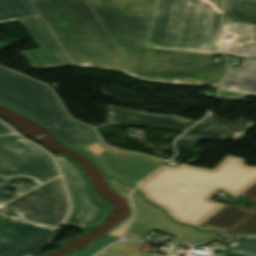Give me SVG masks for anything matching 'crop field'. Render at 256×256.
<instances>
[{
  "mask_svg": "<svg viewBox=\"0 0 256 256\" xmlns=\"http://www.w3.org/2000/svg\"><path fill=\"white\" fill-rule=\"evenodd\" d=\"M223 0H155L145 47L223 55Z\"/></svg>",
  "mask_w": 256,
  "mask_h": 256,
  "instance_id": "ac0d7876",
  "label": "crop field"
},
{
  "mask_svg": "<svg viewBox=\"0 0 256 256\" xmlns=\"http://www.w3.org/2000/svg\"><path fill=\"white\" fill-rule=\"evenodd\" d=\"M55 158L64 175L73 205V210L64 224L84 230L105 214L107 204L93 194L70 161L60 156Z\"/></svg>",
  "mask_w": 256,
  "mask_h": 256,
  "instance_id": "3316defc",
  "label": "crop field"
},
{
  "mask_svg": "<svg viewBox=\"0 0 256 256\" xmlns=\"http://www.w3.org/2000/svg\"><path fill=\"white\" fill-rule=\"evenodd\" d=\"M39 49L22 52L33 69L71 66L40 18L21 21Z\"/></svg>",
  "mask_w": 256,
  "mask_h": 256,
  "instance_id": "d1516ede",
  "label": "crop field"
},
{
  "mask_svg": "<svg viewBox=\"0 0 256 256\" xmlns=\"http://www.w3.org/2000/svg\"><path fill=\"white\" fill-rule=\"evenodd\" d=\"M254 125L255 123L243 118L231 123L218 117L208 116L179 138L176 143L192 147L197 142L207 139L230 138L239 141Z\"/></svg>",
  "mask_w": 256,
  "mask_h": 256,
  "instance_id": "cbeb9de0",
  "label": "crop field"
},
{
  "mask_svg": "<svg viewBox=\"0 0 256 256\" xmlns=\"http://www.w3.org/2000/svg\"><path fill=\"white\" fill-rule=\"evenodd\" d=\"M249 168L244 159L228 155L213 171L183 164L164 165L137 189L180 222Z\"/></svg>",
  "mask_w": 256,
  "mask_h": 256,
  "instance_id": "34b2d1b8",
  "label": "crop field"
},
{
  "mask_svg": "<svg viewBox=\"0 0 256 256\" xmlns=\"http://www.w3.org/2000/svg\"><path fill=\"white\" fill-rule=\"evenodd\" d=\"M230 70L220 91L256 95V60L243 59L240 67L230 66Z\"/></svg>",
  "mask_w": 256,
  "mask_h": 256,
  "instance_id": "5142ce71",
  "label": "crop field"
},
{
  "mask_svg": "<svg viewBox=\"0 0 256 256\" xmlns=\"http://www.w3.org/2000/svg\"><path fill=\"white\" fill-rule=\"evenodd\" d=\"M224 204L209 200L195 212L185 218L181 223H185L192 226H198L202 221L208 218L210 215L218 211Z\"/></svg>",
  "mask_w": 256,
  "mask_h": 256,
  "instance_id": "bc2a9ffb",
  "label": "crop field"
},
{
  "mask_svg": "<svg viewBox=\"0 0 256 256\" xmlns=\"http://www.w3.org/2000/svg\"><path fill=\"white\" fill-rule=\"evenodd\" d=\"M36 17L28 0H0V23Z\"/></svg>",
  "mask_w": 256,
  "mask_h": 256,
  "instance_id": "733c2abd",
  "label": "crop field"
},
{
  "mask_svg": "<svg viewBox=\"0 0 256 256\" xmlns=\"http://www.w3.org/2000/svg\"><path fill=\"white\" fill-rule=\"evenodd\" d=\"M99 256H109V255H106V254H104V253H101Z\"/></svg>",
  "mask_w": 256,
  "mask_h": 256,
  "instance_id": "a9b5d70f",
  "label": "crop field"
},
{
  "mask_svg": "<svg viewBox=\"0 0 256 256\" xmlns=\"http://www.w3.org/2000/svg\"><path fill=\"white\" fill-rule=\"evenodd\" d=\"M87 1L116 43L123 71L156 82L216 87L227 75L226 65L209 63V55L142 48L153 0ZM29 2L71 65L119 70L115 46L85 0Z\"/></svg>",
  "mask_w": 256,
  "mask_h": 256,
  "instance_id": "8a807250",
  "label": "crop field"
},
{
  "mask_svg": "<svg viewBox=\"0 0 256 256\" xmlns=\"http://www.w3.org/2000/svg\"><path fill=\"white\" fill-rule=\"evenodd\" d=\"M256 182V166L249 169L242 176L232 182L229 186H227L222 191L228 193L232 197H236L240 195L243 191L249 188Z\"/></svg>",
  "mask_w": 256,
  "mask_h": 256,
  "instance_id": "4a817a6b",
  "label": "crop field"
},
{
  "mask_svg": "<svg viewBox=\"0 0 256 256\" xmlns=\"http://www.w3.org/2000/svg\"><path fill=\"white\" fill-rule=\"evenodd\" d=\"M135 219L129 226L125 238L141 239L150 229L176 235L170 242L196 244L217 237L215 232H196L192 227L172 222L160 209L143 202L137 192H133Z\"/></svg>",
  "mask_w": 256,
  "mask_h": 256,
  "instance_id": "5a996713",
  "label": "crop field"
},
{
  "mask_svg": "<svg viewBox=\"0 0 256 256\" xmlns=\"http://www.w3.org/2000/svg\"><path fill=\"white\" fill-rule=\"evenodd\" d=\"M241 196L256 203V183ZM200 228L218 229L224 236L256 235V208L227 205Z\"/></svg>",
  "mask_w": 256,
  "mask_h": 256,
  "instance_id": "22f410ed",
  "label": "crop field"
},
{
  "mask_svg": "<svg viewBox=\"0 0 256 256\" xmlns=\"http://www.w3.org/2000/svg\"><path fill=\"white\" fill-rule=\"evenodd\" d=\"M226 55L256 59V0H226Z\"/></svg>",
  "mask_w": 256,
  "mask_h": 256,
  "instance_id": "d8731c3e",
  "label": "crop field"
},
{
  "mask_svg": "<svg viewBox=\"0 0 256 256\" xmlns=\"http://www.w3.org/2000/svg\"><path fill=\"white\" fill-rule=\"evenodd\" d=\"M32 221L58 226L68 205L60 178L33 190L3 206Z\"/></svg>",
  "mask_w": 256,
  "mask_h": 256,
  "instance_id": "e52e79f7",
  "label": "crop field"
},
{
  "mask_svg": "<svg viewBox=\"0 0 256 256\" xmlns=\"http://www.w3.org/2000/svg\"><path fill=\"white\" fill-rule=\"evenodd\" d=\"M195 122L196 121L194 120H190V119H186V118H182L174 115H164L151 126L168 127V128L184 131L188 127L193 125Z\"/></svg>",
  "mask_w": 256,
  "mask_h": 256,
  "instance_id": "214f88e0",
  "label": "crop field"
},
{
  "mask_svg": "<svg viewBox=\"0 0 256 256\" xmlns=\"http://www.w3.org/2000/svg\"><path fill=\"white\" fill-rule=\"evenodd\" d=\"M12 133L14 132L0 123V135ZM58 175L54 162L43 150L17 135L0 136V204L22 194L21 191H4L7 185L5 181L25 177L40 185Z\"/></svg>",
  "mask_w": 256,
  "mask_h": 256,
  "instance_id": "f4fd0767",
  "label": "crop field"
},
{
  "mask_svg": "<svg viewBox=\"0 0 256 256\" xmlns=\"http://www.w3.org/2000/svg\"><path fill=\"white\" fill-rule=\"evenodd\" d=\"M230 252L246 254L248 256H256V239H247L236 247L232 248Z\"/></svg>",
  "mask_w": 256,
  "mask_h": 256,
  "instance_id": "92a150f3",
  "label": "crop field"
},
{
  "mask_svg": "<svg viewBox=\"0 0 256 256\" xmlns=\"http://www.w3.org/2000/svg\"><path fill=\"white\" fill-rule=\"evenodd\" d=\"M50 90L0 67V101L45 123L56 131L61 140L72 146L98 139L92 128L67 117Z\"/></svg>",
  "mask_w": 256,
  "mask_h": 256,
  "instance_id": "412701ff",
  "label": "crop field"
},
{
  "mask_svg": "<svg viewBox=\"0 0 256 256\" xmlns=\"http://www.w3.org/2000/svg\"><path fill=\"white\" fill-rule=\"evenodd\" d=\"M87 2V1H86ZM88 3V2H87ZM90 6V5H89ZM95 14V13H94ZM96 16V15H95ZM96 18H97V16H96ZM98 19V18H97ZM98 21H99V19H98ZM100 22V21H99ZM100 24H101V22H100ZM102 25V24H101ZM102 27L104 28V26L102 25ZM104 30L106 31V29L104 28ZM106 33L108 34V32L106 31ZM108 36H109V34H108ZM110 37V36H109ZM111 38V37H110ZM112 40V39H111ZM114 43V42H113ZM116 46V45H115ZM116 50H117V48H116ZM117 55H118V53H117ZM118 61H119V58H118ZM119 67H120V64H119ZM120 70H121V68H120Z\"/></svg>",
  "mask_w": 256,
  "mask_h": 256,
  "instance_id": "00972430",
  "label": "crop field"
},
{
  "mask_svg": "<svg viewBox=\"0 0 256 256\" xmlns=\"http://www.w3.org/2000/svg\"><path fill=\"white\" fill-rule=\"evenodd\" d=\"M161 116L163 115L109 106L108 124L150 126Z\"/></svg>",
  "mask_w": 256,
  "mask_h": 256,
  "instance_id": "d9b57169",
  "label": "crop field"
},
{
  "mask_svg": "<svg viewBox=\"0 0 256 256\" xmlns=\"http://www.w3.org/2000/svg\"><path fill=\"white\" fill-rule=\"evenodd\" d=\"M211 256H237V255L227 254L226 251H213Z\"/></svg>",
  "mask_w": 256,
  "mask_h": 256,
  "instance_id": "dafd665d",
  "label": "crop field"
},
{
  "mask_svg": "<svg viewBox=\"0 0 256 256\" xmlns=\"http://www.w3.org/2000/svg\"><path fill=\"white\" fill-rule=\"evenodd\" d=\"M90 154L107 176H113L127 185H135L164 161L106 147L100 139L75 146Z\"/></svg>",
  "mask_w": 256,
  "mask_h": 256,
  "instance_id": "dd49c442",
  "label": "crop field"
},
{
  "mask_svg": "<svg viewBox=\"0 0 256 256\" xmlns=\"http://www.w3.org/2000/svg\"><path fill=\"white\" fill-rule=\"evenodd\" d=\"M56 229L19 221L0 224V256H26L44 246Z\"/></svg>",
  "mask_w": 256,
  "mask_h": 256,
  "instance_id": "28ad6ade",
  "label": "crop field"
}]
</instances>
